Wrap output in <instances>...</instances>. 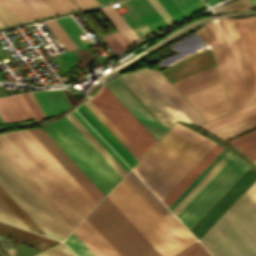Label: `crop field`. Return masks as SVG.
<instances>
[{"label":"crop field","mask_w":256,"mask_h":256,"mask_svg":"<svg viewBox=\"0 0 256 256\" xmlns=\"http://www.w3.org/2000/svg\"><path fill=\"white\" fill-rule=\"evenodd\" d=\"M100 3H102V2H105V1H108V0H98Z\"/></svg>","instance_id":"69"},{"label":"crop field","mask_w":256,"mask_h":256,"mask_svg":"<svg viewBox=\"0 0 256 256\" xmlns=\"http://www.w3.org/2000/svg\"><path fill=\"white\" fill-rule=\"evenodd\" d=\"M256 76V17L236 19Z\"/></svg>","instance_id":"27"},{"label":"crop field","mask_w":256,"mask_h":256,"mask_svg":"<svg viewBox=\"0 0 256 256\" xmlns=\"http://www.w3.org/2000/svg\"><path fill=\"white\" fill-rule=\"evenodd\" d=\"M251 2L254 4V6L256 7V0H251Z\"/></svg>","instance_id":"68"},{"label":"crop field","mask_w":256,"mask_h":256,"mask_svg":"<svg viewBox=\"0 0 256 256\" xmlns=\"http://www.w3.org/2000/svg\"><path fill=\"white\" fill-rule=\"evenodd\" d=\"M35 256H74L63 243H60Z\"/></svg>","instance_id":"53"},{"label":"crop field","mask_w":256,"mask_h":256,"mask_svg":"<svg viewBox=\"0 0 256 256\" xmlns=\"http://www.w3.org/2000/svg\"><path fill=\"white\" fill-rule=\"evenodd\" d=\"M256 113V103L253 105H250L248 107H245L243 109H240L238 111H235L233 113H230L226 116H223L221 118H218L216 120H213L211 122H208L206 124L201 125V127H203L204 129H206L207 131L211 132L215 129H218L220 127H223L227 124H230L232 122H235L239 119H242L246 116H249L251 114Z\"/></svg>","instance_id":"33"},{"label":"crop field","mask_w":256,"mask_h":256,"mask_svg":"<svg viewBox=\"0 0 256 256\" xmlns=\"http://www.w3.org/2000/svg\"><path fill=\"white\" fill-rule=\"evenodd\" d=\"M213 57L210 49L195 55L187 60H184L164 71L162 73L167 79L173 83L187 76L205 70L214 66Z\"/></svg>","instance_id":"18"},{"label":"crop field","mask_w":256,"mask_h":256,"mask_svg":"<svg viewBox=\"0 0 256 256\" xmlns=\"http://www.w3.org/2000/svg\"><path fill=\"white\" fill-rule=\"evenodd\" d=\"M230 111L231 109L226 98L198 110V112L208 121L227 114Z\"/></svg>","instance_id":"38"},{"label":"crop field","mask_w":256,"mask_h":256,"mask_svg":"<svg viewBox=\"0 0 256 256\" xmlns=\"http://www.w3.org/2000/svg\"><path fill=\"white\" fill-rule=\"evenodd\" d=\"M200 136L175 124L133 170L151 188Z\"/></svg>","instance_id":"8"},{"label":"crop field","mask_w":256,"mask_h":256,"mask_svg":"<svg viewBox=\"0 0 256 256\" xmlns=\"http://www.w3.org/2000/svg\"><path fill=\"white\" fill-rule=\"evenodd\" d=\"M0 152L73 229L78 225L84 217L8 137L6 133L0 134Z\"/></svg>","instance_id":"7"},{"label":"crop field","mask_w":256,"mask_h":256,"mask_svg":"<svg viewBox=\"0 0 256 256\" xmlns=\"http://www.w3.org/2000/svg\"><path fill=\"white\" fill-rule=\"evenodd\" d=\"M219 147L215 145L212 150L197 164V166L183 179V181L170 193V195L163 201L164 204L173 196V194L192 176V174L211 156V154Z\"/></svg>","instance_id":"56"},{"label":"crop field","mask_w":256,"mask_h":256,"mask_svg":"<svg viewBox=\"0 0 256 256\" xmlns=\"http://www.w3.org/2000/svg\"><path fill=\"white\" fill-rule=\"evenodd\" d=\"M225 149L211 162V164L182 192V194L168 207L171 211L178 203L199 183V181L218 163L227 153Z\"/></svg>","instance_id":"41"},{"label":"crop field","mask_w":256,"mask_h":256,"mask_svg":"<svg viewBox=\"0 0 256 256\" xmlns=\"http://www.w3.org/2000/svg\"><path fill=\"white\" fill-rule=\"evenodd\" d=\"M5 25L0 22V27H4Z\"/></svg>","instance_id":"71"},{"label":"crop field","mask_w":256,"mask_h":256,"mask_svg":"<svg viewBox=\"0 0 256 256\" xmlns=\"http://www.w3.org/2000/svg\"><path fill=\"white\" fill-rule=\"evenodd\" d=\"M237 158L228 152L172 212L180 219Z\"/></svg>","instance_id":"16"},{"label":"crop field","mask_w":256,"mask_h":256,"mask_svg":"<svg viewBox=\"0 0 256 256\" xmlns=\"http://www.w3.org/2000/svg\"><path fill=\"white\" fill-rule=\"evenodd\" d=\"M23 5H25L33 14H35L38 18L42 17L36 10H34L30 5H28L24 0H19ZM39 14V15H37Z\"/></svg>","instance_id":"63"},{"label":"crop field","mask_w":256,"mask_h":256,"mask_svg":"<svg viewBox=\"0 0 256 256\" xmlns=\"http://www.w3.org/2000/svg\"><path fill=\"white\" fill-rule=\"evenodd\" d=\"M90 100L142 156L157 141L105 85Z\"/></svg>","instance_id":"9"},{"label":"crop field","mask_w":256,"mask_h":256,"mask_svg":"<svg viewBox=\"0 0 256 256\" xmlns=\"http://www.w3.org/2000/svg\"><path fill=\"white\" fill-rule=\"evenodd\" d=\"M102 39L116 55L130 48L118 32L102 37Z\"/></svg>","instance_id":"44"},{"label":"crop field","mask_w":256,"mask_h":256,"mask_svg":"<svg viewBox=\"0 0 256 256\" xmlns=\"http://www.w3.org/2000/svg\"><path fill=\"white\" fill-rule=\"evenodd\" d=\"M133 186L149 201V203L166 219V221L182 236L190 245L195 238L185 227L164 207V205L142 184V182L130 172L125 176Z\"/></svg>","instance_id":"19"},{"label":"crop field","mask_w":256,"mask_h":256,"mask_svg":"<svg viewBox=\"0 0 256 256\" xmlns=\"http://www.w3.org/2000/svg\"><path fill=\"white\" fill-rule=\"evenodd\" d=\"M215 144L201 136L151 188L154 193L163 201Z\"/></svg>","instance_id":"10"},{"label":"crop field","mask_w":256,"mask_h":256,"mask_svg":"<svg viewBox=\"0 0 256 256\" xmlns=\"http://www.w3.org/2000/svg\"><path fill=\"white\" fill-rule=\"evenodd\" d=\"M80 225L109 256H120L86 219Z\"/></svg>","instance_id":"40"},{"label":"crop field","mask_w":256,"mask_h":256,"mask_svg":"<svg viewBox=\"0 0 256 256\" xmlns=\"http://www.w3.org/2000/svg\"><path fill=\"white\" fill-rule=\"evenodd\" d=\"M101 10L111 21V23L116 27V29L120 32V34L125 38V40L130 44L131 47L140 42V39L138 40V38L127 26V24L116 12L112 5L102 8Z\"/></svg>","instance_id":"32"},{"label":"crop field","mask_w":256,"mask_h":256,"mask_svg":"<svg viewBox=\"0 0 256 256\" xmlns=\"http://www.w3.org/2000/svg\"><path fill=\"white\" fill-rule=\"evenodd\" d=\"M0 198L11 208V210L24 222L32 231L45 235L40 228L27 216V214L14 202V200L1 188Z\"/></svg>","instance_id":"37"},{"label":"crop field","mask_w":256,"mask_h":256,"mask_svg":"<svg viewBox=\"0 0 256 256\" xmlns=\"http://www.w3.org/2000/svg\"><path fill=\"white\" fill-rule=\"evenodd\" d=\"M0 220L28 229L23 222L0 199Z\"/></svg>","instance_id":"50"},{"label":"crop field","mask_w":256,"mask_h":256,"mask_svg":"<svg viewBox=\"0 0 256 256\" xmlns=\"http://www.w3.org/2000/svg\"><path fill=\"white\" fill-rule=\"evenodd\" d=\"M0 3H2L8 10H10L22 22L27 21L29 19L37 18L18 0H0Z\"/></svg>","instance_id":"39"},{"label":"crop field","mask_w":256,"mask_h":256,"mask_svg":"<svg viewBox=\"0 0 256 256\" xmlns=\"http://www.w3.org/2000/svg\"><path fill=\"white\" fill-rule=\"evenodd\" d=\"M254 163L256 164V161H254Z\"/></svg>","instance_id":"73"},{"label":"crop field","mask_w":256,"mask_h":256,"mask_svg":"<svg viewBox=\"0 0 256 256\" xmlns=\"http://www.w3.org/2000/svg\"><path fill=\"white\" fill-rule=\"evenodd\" d=\"M120 78L127 84V86L144 102V104L161 120V122L169 129L170 127L162 120V118L146 103V101L129 85V83L122 77Z\"/></svg>","instance_id":"61"},{"label":"crop field","mask_w":256,"mask_h":256,"mask_svg":"<svg viewBox=\"0 0 256 256\" xmlns=\"http://www.w3.org/2000/svg\"><path fill=\"white\" fill-rule=\"evenodd\" d=\"M0 256H6L5 254H3L1 251H0Z\"/></svg>","instance_id":"70"},{"label":"crop field","mask_w":256,"mask_h":256,"mask_svg":"<svg viewBox=\"0 0 256 256\" xmlns=\"http://www.w3.org/2000/svg\"><path fill=\"white\" fill-rule=\"evenodd\" d=\"M196 31L210 47L223 46L227 44L218 24L204 25Z\"/></svg>","instance_id":"36"},{"label":"crop field","mask_w":256,"mask_h":256,"mask_svg":"<svg viewBox=\"0 0 256 256\" xmlns=\"http://www.w3.org/2000/svg\"><path fill=\"white\" fill-rule=\"evenodd\" d=\"M0 234L24 243L31 244L35 246L37 249H39L40 251L59 243V241L29 232L23 229H19L1 222H0Z\"/></svg>","instance_id":"24"},{"label":"crop field","mask_w":256,"mask_h":256,"mask_svg":"<svg viewBox=\"0 0 256 256\" xmlns=\"http://www.w3.org/2000/svg\"><path fill=\"white\" fill-rule=\"evenodd\" d=\"M0 117H1V119L3 121V123H8V120L5 117V115H4L3 111L1 110V108H0Z\"/></svg>","instance_id":"66"},{"label":"crop field","mask_w":256,"mask_h":256,"mask_svg":"<svg viewBox=\"0 0 256 256\" xmlns=\"http://www.w3.org/2000/svg\"><path fill=\"white\" fill-rule=\"evenodd\" d=\"M219 24L228 40L229 43L236 41L245 71L247 73L255 100H256V79L240 35L237 23L235 19L221 18L218 20Z\"/></svg>","instance_id":"20"},{"label":"crop field","mask_w":256,"mask_h":256,"mask_svg":"<svg viewBox=\"0 0 256 256\" xmlns=\"http://www.w3.org/2000/svg\"><path fill=\"white\" fill-rule=\"evenodd\" d=\"M56 21L74 42L78 49L93 46L92 42L88 39V37L84 34V32L72 17L68 16L56 19Z\"/></svg>","instance_id":"29"},{"label":"crop field","mask_w":256,"mask_h":256,"mask_svg":"<svg viewBox=\"0 0 256 256\" xmlns=\"http://www.w3.org/2000/svg\"><path fill=\"white\" fill-rule=\"evenodd\" d=\"M209 5L214 4L220 0H205Z\"/></svg>","instance_id":"67"},{"label":"crop field","mask_w":256,"mask_h":256,"mask_svg":"<svg viewBox=\"0 0 256 256\" xmlns=\"http://www.w3.org/2000/svg\"><path fill=\"white\" fill-rule=\"evenodd\" d=\"M35 138L98 204L105 196L42 129H29Z\"/></svg>","instance_id":"15"},{"label":"crop field","mask_w":256,"mask_h":256,"mask_svg":"<svg viewBox=\"0 0 256 256\" xmlns=\"http://www.w3.org/2000/svg\"><path fill=\"white\" fill-rule=\"evenodd\" d=\"M45 23L58 38V40L62 43V45L66 48L67 51L77 49L55 20L46 21Z\"/></svg>","instance_id":"45"},{"label":"crop field","mask_w":256,"mask_h":256,"mask_svg":"<svg viewBox=\"0 0 256 256\" xmlns=\"http://www.w3.org/2000/svg\"><path fill=\"white\" fill-rule=\"evenodd\" d=\"M22 95V94H21ZM25 100L27 101L29 107L31 108L33 114L35 115L37 121L43 120L41 115L39 114L38 110L36 109L35 105L33 104L32 100L30 99L27 93L23 94Z\"/></svg>","instance_id":"60"},{"label":"crop field","mask_w":256,"mask_h":256,"mask_svg":"<svg viewBox=\"0 0 256 256\" xmlns=\"http://www.w3.org/2000/svg\"><path fill=\"white\" fill-rule=\"evenodd\" d=\"M105 85L132 112V114L152 133V135L157 140L166 132L116 79L108 82Z\"/></svg>","instance_id":"17"},{"label":"crop field","mask_w":256,"mask_h":256,"mask_svg":"<svg viewBox=\"0 0 256 256\" xmlns=\"http://www.w3.org/2000/svg\"><path fill=\"white\" fill-rule=\"evenodd\" d=\"M73 232L95 256H108L80 225Z\"/></svg>","instance_id":"43"},{"label":"crop field","mask_w":256,"mask_h":256,"mask_svg":"<svg viewBox=\"0 0 256 256\" xmlns=\"http://www.w3.org/2000/svg\"><path fill=\"white\" fill-rule=\"evenodd\" d=\"M228 143L240 150L250 160H256V130L231 140Z\"/></svg>","instance_id":"35"},{"label":"crop field","mask_w":256,"mask_h":256,"mask_svg":"<svg viewBox=\"0 0 256 256\" xmlns=\"http://www.w3.org/2000/svg\"><path fill=\"white\" fill-rule=\"evenodd\" d=\"M0 185L47 236L63 240L73 230L1 153Z\"/></svg>","instance_id":"4"},{"label":"crop field","mask_w":256,"mask_h":256,"mask_svg":"<svg viewBox=\"0 0 256 256\" xmlns=\"http://www.w3.org/2000/svg\"><path fill=\"white\" fill-rule=\"evenodd\" d=\"M33 95L46 118L58 115L71 107L62 90L38 91Z\"/></svg>","instance_id":"21"},{"label":"crop field","mask_w":256,"mask_h":256,"mask_svg":"<svg viewBox=\"0 0 256 256\" xmlns=\"http://www.w3.org/2000/svg\"><path fill=\"white\" fill-rule=\"evenodd\" d=\"M186 17H190L206 7L202 0H173Z\"/></svg>","instance_id":"42"},{"label":"crop field","mask_w":256,"mask_h":256,"mask_svg":"<svg viewBox=\"0 0 256 256\" xmlns=\"http://www.w3.org/2000/svg\"><path fill=\"white\" fill-rule=\"evenodd\" d=\"M255 179L256 172L249 167L189 229L195 237L199 239Z\"/></svg>","instance_id":"12"},{"label":"crop field","mask_w":256,"mask_h":256,"mask_svg":"<svg viewBox=\"0 0 256 256\" xmlns=\"http://www.w3.org/2000/svg\"><path fill=\"white\" fill-rule=\"evenodd\" d=\"M86 219L121 256H161L107 197Z\"/></svg>","instance_id":"5"},{"label":"crop field","mask_w":256,"mask_h":256,"mask_svg":"<svg viewBox=\"0 0 256 256\" xmlns=\"http://www.w3.org/2000/svg\"><path fill=\"white\" fill-rule=\"evenodd\" d=\"M73 1L77 3L81 8L100 4L96 0H73Z\"/></svg>","instance_id":"62"},{"label":"crop field","mask_w":256,"mask_h":256,"mask_svg":"<svg viewBox=\"0 0 256 256\" xmlns=\"http://www.w3.org/2000/svg\"><path fill=\"white\" fill-rule=\"evenodd\" d=\"M200 242L213 256H256V202L246 192Z\"/></svg>","instance_id":"2"},{"label":"crop field","mask_w":256,"mask_h":256,"mask_svg":"<svg viewBox=\"0 0 256 256\" xmlns=\"http://www.w3.org/2000/svg\"><path fill=\"white\" fill-rule=\"evenodd\" d=\"M0 19L7 25H12L20 23L21 21L17 19L11 12H9L3 5L0 4Z\"/></svg>","instance_id":"58"},{"label":"crop field","mask_w":256,"mask_h":256,"mask_svg":"<svg viewBox=\"0 0 256 256\" xmlns=\"http://www.w3.org/2000/svg\"><path fill=\"white\" fill-rule=\"evenodd\" d=\"M0 124H2V121H1V119H0Z\"/></svg>","instance_id":"72"},{"label":"crop field","mask_w":256,"mask_h":256,"mask_svg":"<svg viewBox=\"0 0 256 256\" xmlns=\"http://www.w3.org/2000/svg\"><path fill=\"white\" fill-rule=\"evenodd\" d=\"M0 106L7 116L9 122L31 118L35 119L21 94L0 98Z\"/></svg>","instance_id":"25"},{"label":"crop field","mask_w":256,"mask_h":256,"mask_svg":"<svg viewBox=\"0 0 256 256\" xmlns=\"http://www.w3.org/2000/svg\"><path fill=\"white\" fill-rule=\"evenodd\" d=\"M248 167L238 158L180 219L184 225L189 229Z\"/></svg>","instance_id":"14"},{"label":"crop field","mask_w":256,"mask_h":256,"mask_svg":"<svg viewBox=\"0 0 256 256\" xmlns=\"http://www.w3.org/2000/svg\"><path fill=\"white\" fill-rule=\"evenodd\" d=\"M27 3H29L33 8H35L39 13H41L43 16L55 14V12L50 9L45 3H43L41 0H25Z\"/></svg>","instance_id":"57"},{"label":"crop field","mask_w":256,"mask_h":256,"mask_svg":"<svg viewBox=\"0 0 256 256\" xmlns=\"http://www.w3.org/2000/svg\"><path fill=\"white\" fill-rule=\"evenodd\" d=\"M253 128H256V114L211 133L226 140Z\"/></svg>","instance_id":"31"},{"label":"crop field","mask_w":256,"mask_h":256,"mask_svg":"<svg viewBox=\"0 0 256 256\" xmlns=\"http://www.w3.org/2000/svg\"><path fill=\"white\" fill-rule=\"evenodd\" d=\"M220 77L218 75L216 67H212L203 72L195 74L184 80H181L173 85L184 95L191 94L205 87L213 85L220 82Z\"/></svg>","instance_id":"23"},{"label":"crop field","mask_w":256,"mask_h":256,"mask_svg":"<svg viewBox=\"0 0 256 256\" xmlns=\"http://www.w3.org/2000/svg\"><path fill=\"white\" fill-rule=\"evenodd\" d=\"M225 97L226 96L221 82L186 96L188 101L194 106L196 110Z\"/></svg>","instance_id":"28"},{"label":"crop field","mask_w":256,"mask_h":256,"mask_svg":"<svg viewBox=\"0 0 256 256\" xmlns=\"http://www.w3.org/2000/svg\"><path fill=\"white\" fill-rule=\"evenodd\" d=\"M231 45H232V48H233V51H234V54H235V57H236V60H237V63H238L241 75H242V78H243V81H244V84H245V87H246V90H247L250 102L252 103L255 100H254V97H253V94H252V91H251V88H250V85H249L246 73L244 71V68H243V65H242V62H241V59H240V56H239L236 44L233 43Z\"/></svg>","instance_id":"54"},{"label":"crop field","mask_w":256,"mask_h":256,"mask_svg":"<svg viewBox=\"0 0 256 256\" xmlns=\"http://www.w3.org/2000/svg\"><path fill=\"white\" fill-rule=\"evenodd\" d=\"M91 112L104 124V126L118 139V141L131 153L138 161L142 156L135 148L122 136V134L108 121V119L89 100L84 103Z\"/></svg>","instance_id":"34"},{"label":"crop field","mask_w":256,"mask_h":256,"mask_svg":"<svg viewBox=\"0 0 256 256\" xmlns=\"http://www.w3.org/2000/svg\"><path fill=\"white\" fill-rule=\"evenodd\" d=\"M176 256H210V255L199 243L196 242Z\"/></svg>","instance_id":"55"},{"label":"crop field","mask_w":256,"mask_h":256,"mask_svg":"<svg viewBox=\"0 0 256 256\" xmlns=\"http://www.w3.org/2000/svg\"><path fill=\"white\" fill-rule=\"evenodd\" d=\"M43 130L105 195L122 178L65 117Z\"/></svg>","instance_id":"3"},{"label":"crop field","mask_w":256,"mask_h":256,"mask_svg":"<svg viewBox=\"0 0 256 256\" xmlns=\"http://www.w3.org/2000/svg\"><path fill=\"white\" fill-rule=\"evenodd\" d=\"M77 110L97 130V132L111 145V147L124 159V161L130 167L135 165L137 161L117 141V139L103 126V124L90 112V110L84 104L80 105L77 108Z\"/></svg>","instance_id":"22"},{"label":"crop field","mask_w":256,"mask_h":256,"mask_svg":"<svg viewBox=\"0 0 256 256\" xmlns=\"http://www.w3.org/2000/svg\"><path fill=\"white\" fill-rule=\"evenodd\" d=\"M7 134L84 217L97 205L28 130Z\"/></svg>","instance_id":"6"},{"label":"crop field","mask_w":256,"mask_h":256,"mask_svg":"<svg viewBox=\"0 0 256 256\" xmlns=\"http://www.w3.org/2000/svg\"><path fill=\"white\" fill-rule=\"evenodd\" d=\"M65 243L77 256H94L73 232L65 240Z\"/></svg>","instance_id":"46"},{"label":"crop field","mask_w":256,"mask_h":256,"mask_svg":"<svg viewBox=\"0 0 256 256\" xmlns=\"http://www.w3.org/2000/svg\"><path fill=\"white\" fill-rule=\"evenodd\" d=\"M253 199L256 201V182L253 184V186L247 191Z\"/></svg>","instance_id":"64"},{"label":"crop field","mask_w":256,"mask_h":256,"mask_svg":"<svg viewBox=\"0 0 256 256\" xmlns=\"http://www.w3.org/2000/svg\"><path fill=\"white\" fill-rule=\"evenodd\" d=\"M107 197L162 256L189 246L125 177Z\"/></svg>","instance_id":"1"},{"label":"crop field","mask_w":256,"mask_h":256,"mask_svg":"<svg viewBox=\"0 0 256 256\" xmlns=\"http://www.w3.org/2000/svg\"><path fill=\"white\" fill-rule=\"evenodd\" d=\"M255 7L250 2V0H235L226 5L220 6L214 9V12H232V11H243V10H253Z\"/></svg>","instance_id":"47"},{"label":"crop field","mask_w":256,"mask_h":256,"mask_svg":"<svg viewBox=\"0 0 256 256\" xmlns=\"http://www.w3.org/2000/svg\"><path fill=\"white\" fill-rule=\"evenodd\" d=\"M223 150L220 146L212 156L193 174V176L174 194L165 204L167 207L181 194V192L210 164V162Z\"/></svg>","instance_id":"49"},{"label":"crop field","mask_w":256,"mask_h":256,"mask_svg":"<svg viewBox=\"0 0 256 256\" xmlns=\"http://www.w3.org/2000/svg\"><path fill=\"white\" fill-rule=\"evenodd\" d=\"M65 117L75 126V128L94 146V148L113 166V168L122 177L127 173L71 113Z\"/></svg>","instance_id":"30"},{"label":"crop field","mask_w":256,"mask_h":256,"mask_svg":"<svg viewBox=\"0 0 256 256\" xmlns=\"http://www.w3.org/2000/svg\"><path fill=\"white\" fill-rule=\"evenodd\" d=\"M81 124L100 142V144L119 162V164L128 172L129 168L122 160L109 148V146L94 132V130L78 115L76 111L71 112ZM116 161V162H117Z\"/></svg>","instance_id":"51"},{"label":"crop field","mask_w":256,"mask_h":256,"mask_svg":"<svg viewBox=\"0 0 256 256\" xmlns=\"http://www.w3.org/2000/svg\"><path fill=\"white\" fill-rule=\"evenodd\" d=\"M157 1L166 10V12L170 15V17L175 21L176 24L187 19L172 0H157Z\"/></svg>","instance_id":"48"},{"label":"crop field","mask_w":256,"mask_h":256,"mask_svg":"<svg viewBox=\"0 0 256 256\" xmlns=\"http://www.w3.org/2000/svg\"><path fill=\"white\" fill-rule=\"evenodd\" d=\"M122 3L130 12L122 17L140 41L168 28L147 0H124Z\"/></svg>","instance_id":"13"},{"label":"crop field","mask_w":256,"mask_h":256,"mask_svg":"<svg viewBox=\"0 0 256 256\" xmlns=\"http://www.w3.org/2000/svg\"><path fill=\"white\" fill-rule=\"evenodd\" d=\"M27 94H28V93H27ZM29 95H30V97L32 98L33 102L35 103V105H36L37 109L39 110L40 114L42 115L43 119H46L45 116H44V114H43V112L41 111L40 107L38 106L36 100L34 99L32 93H29ZM31 98H30V99H31ZM34 103H33V104H34Z\"/></svg>","instance_id":"65"},{"label":"crop field","mask_w":256,"mask_h":256,"mask_svg":"<svg viewBox=\"0 0 256 256\" xmlns=\"http://www.w3.org/2000/svg\"><path fill=\"white\" fill-rule=\"evenodd\" d=\"M47 5H49L57 13L72 11L79 9L70 0H43Z\"/></svg>","instance_id":"52"},{"label":"crop field","mask_w":256,"mask_h":256,"mask_svg":"<svg viewBox=\"0 0 256 256\" xmlns=\"http://www.w3.org/2000/svg\"><path fill=\"white\" fill-rule=\"evenodd\" d=\"M145 70L164 89V91L177 103V105L190 117V119L196 125H199L205 122L160 73L151 71L149 69H145Z\"/></svg>","instance_id":"26"},{"label":"crop field","mask_w":256,"mask_h":256,"mask_svg":"<svg viewBox=\"0 0 256 256\" xmlns=\"http://www.w3.org/2000/svg\"><path fill=\"white\" fill-rule=\"evenodd\" d=\"M149 2L153 5V7L157 10V12L161 15V17L166 21L169 27L175 25L174 21L169 17V15L165 12V10L160 6V4L156 0H149Z\"/></svg>","instance_id":"59"},{"label":"crop field","mask_w":256,"mask_h":256,"mask_svg":"<svg viewBox=\"0 0 256 256\" xmlns=\"http://www.w3.org/2000/svg\"><path fill=\"white\" fill-rule=\"evenodd\" d=\"M218 65L227 95L232 109L249 104V99L231 48L227 45L223 48L212 49Z\"/></svg>","instance_id":"11"}]
</instances>
